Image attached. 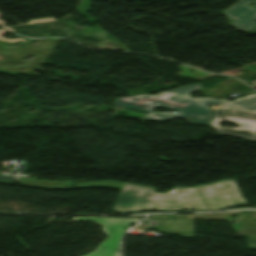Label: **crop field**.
<instances>
[{
    "label": "crop field",
    "mask_w": 256,
    "mask_h": 256,
    "mask_svg": "<svg viewBox=\"0 0 256 256\" xmlns=\"http://www.w3.org/2000/svg\"><path fill=\"white\" fill-rule=\"evenodd\" d=\"M75 187L121 189V195L113 209L117 212L220 210L224 207L246 205L237 185L232 180H222L192 188L174 187L173 190L164 194L154 192L153 188L114 181L75 184Z\"/></svg>",
    "instance_id": "8a807250"
},
{
    "label": "crop field",
    "mask_w": 256,
    "mask_h": 256,
    "mask_svg": "<svg viewBox=\"0 0 256 256\" xmlns=\"http://www.w3.org/2000/svg\"><path fill=\"white\" fill-rule=\"evenodd\" d=\"M200 83L158 93L155 96L138 95L114 99V105L149 113L146 118L166 120L174 117L186 119L190 124L209 126L208 103L227 105L210 98L192 99L189 93L200 89ZM161 106L179 111L176 114L151 112ZM228 106V105H227Z\"/></svg>",
    "instance_id": "ac0d7876"
},
{
    "label": "crop field",
    "mask_w": 256,
    "mask_h": 256,
    "mask_svg": "<svg viewBox=\"0 0 256 256\" xmlns=\"http://www.w3.org/2000/svg\"><path fill=\"white\" fill-rule=\"evenodd\" d=\"M211 104V126L219 134L256 140V112ZM222 120L241 125L239 128H221Z\"/></svg>",
    "instance_id": "34b2d1b8"
},
{
    "label": "crop field",
    "mask_w": 256,
    "mask_h": 256,
    "mask_svg": "<svg viewBox=\"0 0 256 256\" xmlns=\"http://www.w3.org/2000/svg\"><path fill=\"white\" fill-rule=\"evenodd\" d=\"M74 221H94L103 225V231L108 238L97 249L86 256H120L119 241L123 233L140 219H116L101 217L73 218Z\"/></svg>",
    "instance_id": "412701ff"
},
{
    "label": "crop field",
    "mask_w": 256,
    "mask_h": 256,
    "mask_svg": "<svg viewBox=\"0 0 256 256\" xmlns=\"http://www.w3.org/2000/svg\"><path fill=\"white\" fill-rule=\"evenodd\" d=\"M250 2L256 5V0H240L235 6L224 13L232 19L233 22L231 25L243 31L253 28V24L256 21V10L245 6ZM235 19L238 20L235 21Z\"/></svg>",
    "instance_id": "f4fd0767"
},
{
    "label": "crop field",
    "mask_w": 256,
    "mask_h": 256,
    "mask_svg": "<svg viewBox=\"0 0 256 256\" xmlns=\"http://www.w3.org/2000/svg\"><path fill=\"white\" fill-rule=\"evenodd\" d=\"M229 105L235 108H242L256 111V94L235 99Z\"/></svg>",
    "instance_id": "dd49c442"
},
{
    "label": "crop field",
    "mask_w": 256,
    "mask_h": 256,
    "mask_svg": "<svg viewBox=\"0 0 256 256\" xmlns=\"http://www.w3.org/2000/svg\"><path fill=\"white\" fill-rule=\"evenodd\" d=\"M18 182L21 183H32V184H42L46 186H70L73 185L71 181H44L36 179H26L18 177Z\"/></svg>",
    "instance_id": "e52e79f7"
},
{
    "label": "crop field",
    "mask_w": 256,
    "mask_h": 256,
    "mask_svg": "<svg viewBox=\"0 0 256 256\" xmlns=\"http://www.w3.org/2000/svg\"><path fill=\"white\" fill-rule=\"evenodd\" d=\"M242 226L245 236L256 238V221H242Z\"/></svg>",
    "instance_id": "d8731c3e"
},
{
    "label": "crop field",
    "mask_w": 256,
    "mask_h": 256,
    "mask_svg": "<svg viewBox=\"0 0 256 256\" xmlns=\"http://www.w3.org/2000/svg\"><path fill=\"white\" fill-rule=\"evenodd\" d=\"M52 21H56V20L54 18L36 19V20L29 21L25 25L38 24V23H43V22H52Z\"/></svg>",
    "instance_id": "5a996713"
},
{
    "label": "crop field",
    "mask_w": 256,
    "mask_h": 256,
    "mask_svg": "<svg viewBox=\"0 0 256 256\" xmlns=\"http://www.w3.org/2000/svg\"><path fill=\"white\" fill-rule=\"evenodd\" d=\"M21 186H29V187H38V188H44V189H73V187H65V188H50V187H45V186H36V185H26V184H19Z\"/></svg>",
    "instance_id": "3316defc"
},
{
    "label": "crop field",
    "mask_w": 256,
    "mask_h": 256,
    "mask_svg": "<svg viewBox=\"0 0 256 256\" xmlns=\"http://www.w3.org/2000/svg\"><path fill=\"white\" fill-rule=\"evenodd\" d=\"M245 239H246L248 248L256 249V240L247 239V238H245Z\"/></svg>",
    "instance_id": "28ad6ade"
},
{
    "label": "crop field",
    "mask_w": 256,
    "mask_h": 256,
    "mask_svg": "<svg viewBox=\"0 0 256 256\" xmlns=\"http://www.w3.org/2000/svg\"><path fill=\"white\" fill-rule=\"evenodd\" d=\"M6 32L5 30H0V40H3V41H7V42H16V41H23V42H26L25 39L23 38H16L15 40H11V39H3L1 38V34Z\"/></svg>",
    "instance_id": "d1516ede"
},
{
    "label": "crop field",
    "mask_w": 256,
    "mask_h": 256,
    "mask_svg": "<svg viewBox=\"0 0 256 256\" xmlns=\"http://www.w3.org/2000/svg\"><path fill=\"white\" fill-rule=\"evenodd\" d=\"M0 179L14 181V177H11V176H2V175H0Z\"/></svg>",
    "instance_id": "22f410ed"
},
{
    "label": "crop field",
    "mask_w": 256,
    "mask_h": 256,
    "mask_svg": "<svg viewBox=\"0 0 256 256\" xmlns=\"http://www.w3.org/2000/svg\"><path fill=\"white\" fill-rule=\"evenodd\" d=\"M1 184H11V185H15V183L13 182H3V181H0Z\"/></svg>",
    "instance_id": "cbeb9de0"
},
{
    "label": "crop field",
    "mask_w": 256,
    "mask_h": 256,
    "mask_svg": "<svg viewBox=\"0 0 256 256\" xmlns=\"http://www.w3.org/2000/svg\"><path fill=\"white\" fill-rule=\"evenodd\" d=\"M0 15H1V13H0ZM0 25H2L3 27L8 28V29L14 31L12 28H9V27L4 26V25H3V21H1V20H0Z\"/></svg>",
    "instance_id": "5142ce71"
}]
</instances>
